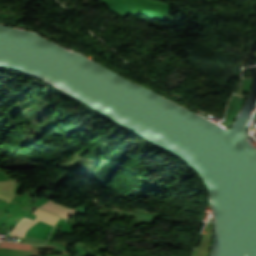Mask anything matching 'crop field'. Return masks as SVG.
<instances>
[{
    "mask_svg": "<svg viewBox=\"0 0 256 256\" xmlns=\"http://www.w3.org/2000/svg\"><path fill=\"white\" fill-rule=\"evenodd\" d=\"M41 208L48 210L50 212H53V213L59 215L60 217H64V218H68V217L72 216V214L74 212L73 209L64 207V206L57 204L51 200L48 201L47 203H45L44 205H42Z\"/></svg>",
    "mask_w": 256,
    "mask_h": 256,
    "instance_id": "ac0d7876",
    "label": "crop field"
},
{
    "mask_svg": "<svg viewBox=\"0 0 256 256\" xmlns=\"http://www.w3.org/2000/svg\"><path fill=\"white\" fill-rule=\"evenodd\" d=\"M37 248L55 250L56 247L55 246H37V245H33V255H38Z\"/></svg>",
    "mask_w": 256,
    "mask_h": 256,
    "instance_id": "412701ff",
    "label": "crop field"
},
{
    "mask_svg": "<svg viewBox=\"0 0 256 256\" xmlns=\"http://www.w3.org/2000/svg\"><path fill=\"white\" fill-rule=\"evenodd\" d=\"M37 214V219L49 223L50 225L54 226V224L57 222L58 218L56 215L46 212L45 210H42L40 208H37L34 212ZM38 220H30L26 217L22 218L15 228L10 233L11 236H17V237H23L25 235V232L30 229L35 223H37Z\"/></svg>",
    "mask_w": 256,
    "mask_h": 256,
    "instance_id": "8a807250",
    "label": "crop field"
},
{
    "mask_svg": "<svg viewBox=\"0 0 256 256\" xmlns=\"http://www.w3.org/2000/svg\"><path fill=\"white\" fill-rule=\"evenodd\" d=\"M16 180L0 181V198L10 202L14 197Z\"/></svg>",
    "mask_w": 256,
    "mask_h": 256,
    "instance_id": "34b2d1b8",
    "label": "crop field"
}]
</instances>
